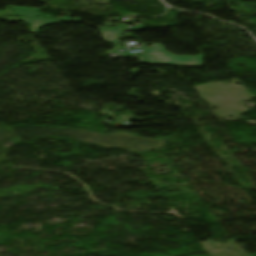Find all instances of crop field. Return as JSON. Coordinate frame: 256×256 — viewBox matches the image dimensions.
Here are the masks:
<instances>
[{
  "label": "crop field",
  "mask_w": 256,
  "mask_h": 256,
  "mask_svg": "<svg viewBox=\"0 0 256 256\" xmlns=\"http://www.w3.org/2000/svg\"><path fill=\"white\" fill-rule=\"evenodd\" d=\"M20 19L23 22L29 23L34 33H37L38 29L46 24L59 23L58 20H53V19H35V18H25V17H20Z\"/></svg>",
  "instance_id": "obj_1"
},
{
  "label": "crop field",
  "mask_w": 256,
  "mask_h": 256,
  "mask_svg": "<svg viewBox=\"0 0 256 256\" xmlns=\"http://www.w3.org/2000/svg\"><path fill=\"white\" fill-rule=\"evenodd\" d=\"M135 28H143V26L141 25V23H139V25H135L133 27H131L130 29H135Z\"/></svg>",
  "instance_id": "obj_5"
},
{
  "label": "crop field",
  "mask_w": 256,
  "mask_h": 256,
  "mask_svg": "<svg viewBox=\"0 0 256 256\" xmlns=\"http://www.w3.org/2000/svg\"><path fill=\"white\" fill-rule=\"evenodd\" d=\"M65 15H67V17H62L59 18L60 21H74V22H82L80 21V19H76V18H68L71 14L70 13H63Z\"/></svg>",
  "instance_id": "obj_3"
},
{
  "label": "crop field",
  "mask_w": 256,
  "mask_h": 256,
  "mask_svg": "<svg viewBox=\"0 0 256 256\" xmlns=\"http://www.w3.org/2000/svg\"><path fill=\"white\" fill-rule=\"evenodd\" d=\"M17 16H27V17H42L39 15V9H19L15 7H10ZM53 18V17H47Z\"/></svg>",
  "instance_id": "obj_2"
},
{
  "label": "crop field",
  "mask_w": 256,
  "mask_h": 256,
  "mask_svg": "<svg viewBox=\"0 0 256 256\" xmlns=\"http://www.w3.org/2000/svg\"><path fill=\"white\" fill-rule=\"evenodd\" d=\"M102 24H104V25H117V24H108V23H102ZM127 28H128L127 25H118L115 28H101V29H127Z\"/></svg>",
  "instance_id": "obj_4"
}]
</instances>
